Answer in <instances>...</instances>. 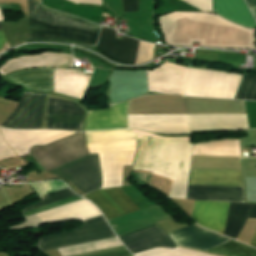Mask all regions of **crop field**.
<instances>
[{
  "label": "crop field",
  "instance_id": "d1516ede",
  "mask_svg": "<svg viewBox=\"0 0 256 256\" xmlns=\"http://www.w3.org/2000/svg\"><path fill=\"white\" fill-rule=\"evenodd\" d=\"M45 94L22 93L14 113L2 124L7 128L40 129Z\"/></svg>",
  "mask_w": 256,
  "mask_h": 256
},
{
  "label": "crop field",
  "instance_id": "5142ce71",
  "mask_svg": "<svg viewBox=\"0 0 256 256\" xmlns=\"http://www.w3.org/2000/svg\"><path fill=\"white\" fill-rule=\"evenodd\" d=\"M119 238L133 254L155 247H176L168 234L157 223L129 232Z\"/></svg>",
  "mask_w": 256,
  "mask_h": 256
},
{
  "label": "crop field",
  "instance_id": "8a807250",
  "mask_svg": "<svg viewBox=\"0 0 256 256\" xmlns=\"http://www.w3.org/2000/svg\"><path fill=\"white\" fill-rule=\"evenodd\" d=\"M87 142L138 138L134 169L174 179L169 198H186L193 145L186 137H164L132 129L84 132Z\"/></svg>",
  "mask_w": 256,
  "mask_h": 256
},
{
  "label": "crop field",
  "instance_id": "d9b57169",
  "mask_svg": "<svg viewBox=\"0 0 256 256\" xmlns=\"http://www.w3.org/2000/svg\"><path fill=\"white\" fill-rule=\"evenodd\" d=\"M85 198L101 209L107 220L138 210L120 188H110L89 193Z\"/></svg>",
  "mask_w": 256,
  "mask_h": 256
},
{
  "label": "crop field",
  "instance_id": "bd1437ed",
  "mask_svg": "<svg viewBox=\"0 0 256 256\" xmlns=\"http://www.w3.org/2000/svg\"><path fill=\"white\" fill-rule=\"evenodd\" d=\"M250 245L253 246V247H256V233H255Z\"/></svg>",
  "mask_w": 256,
  "mask_h": 256
},
{
  "label": "crop field",
  "instance_id": "00972430",
  "mask_svg": "<svg viewBox=\"0 0 256 256\" xmlns=\"http://www.w3.org/2000/svg\"><path fill=\"white\" fill-rule=\"evenodd\" d=\"M74 196H77V195L72 193L70 191V189L65 185V186L53 191L52 193L42 197L43 199L40 200L38 203H36L34 205H31L29 207L23 208V209H21V211L23 213V212L33 210V209H36V208H39V207H42V206H45V205H48V204H52V203H55V202H58V201H61V200L67 199V198H71V197H74ZM80 199H83V198L77 196V197L67 199V200L52 204V205H48V206H45V207H42V208H39V209H36V210H33V211L23 213L22 216L24 217V216H27V215H31V214H34V213H37V212H40V211H44V210L54 208V207H57V206H60V205H64V204H67V203H70V202H73V201H77V200H80Z\"/></svg>",
  "mask_w": 256,
  "mask_h": 256
},
{
  "label": "crop field",
  "instance_id": "ac0d7876",
  "mask_svg": "<svg viewBox=\"0 0 256 256\" xmlns=\"http://www.w3.org/2000/svg\"><path fill=\"white\" fill-rule=\"evenodd\" d=\"M169 45H200L226 48H255L254 31L228 22L215 14L174 12L159 19ZM256 32V31H255Z\"/></svg>",
  "mask_w": 256,
  "mask_h": 256
},
{
  "label": "crop field",
  "instance_id": "bc2a9ffb",
  "mask_svg": "<svg viewBox=\"0 0 256 256\" xmlns=\"http://www.w3.org/2000/svg\"><path fill=\"white\" fill-rule=\"evenodd\" d=\"M92 76L81 74L78 69H55V92L82 98Z\"/></svg>",
  "mask_w": 256,
  "mask_h": 256
},
{
  "label": "crop field",
  "instance_id": "e52e79f7",
  "mask_svg": "<svg viewBox=\"0 0 256 256\" xmlns=\"http://www.w3.org/2000/svg\"><path fill=\"white\" fill-rule=\"evenodd\" d=\"M169 236L176 245L200 251L232 241L195 224L169 233ZM205 252L225 256H256V249L235 241L205 250Z\"/></svg>",
  "mask_w": 256,
  "mask_h": 256
},
{
  "label": "crop field",
  "instance_id": "5a996713",
  "mask_svg": "<svg viewBox=\"0 0 256 256\" xmlns=\"http://www.w3.org/2000/svg\"><path fill=\"white\" fill-rule=\"evenodd\" d=\"M84 225L71 231L45 236L37 239L36 246L40 251L81 244L94 240L116 237L110 230L103 215L83 221Z\"/></svg>",
  "mask_w": 256,
  "mask_h": 256
},
{
  "label": "crop field",
  "instance_id": "28ad6ade",
  "mask_svg": "<svg viewBox=\"0 0 256 256\" xmlns=\"http://www.w3.org/2000/svg\"><path fill=\"white\" fill-rule=\"evenodd\" d=\"M188 68L169 62L147 71L149 91L183 95Z\"/></svg>",
  "mask_w": 256,
  "mask_h": 256
},
{
  "label": "crop field",
  "instance_id": "22f410ed",
  "mask_svg": "<svg viewBox=\"0 0 256 256\" xmlns=\"http://www.w3.org/2000/svg\"><path fill=\"white\" fill-rule=\"evenodd\" d=\"M84 110L77 104L49 96L47 128L82 131Z\"/></svg>",
  "mask_w": 256,
  "mask_h": 256
},
{
  "label": "crop field",
  "instance_id": "cbeb9de0",
  "mask_svg": "<svg viewBox=\"0 0 256 256\" xmlns=\"http://www.w3.org/2000/svg\"><path fill=\"white\" fill-rule=\"evenodd\" d=\"M1 129V128H0ZM7 143L18 156L28 154L33 145H45L75 132L54 130H6L1 129Z\"/></svg>",
  "mask_w": 256,
  "mask_h": 256
},
{
  "label": "crop field",
  "instance_id": "dd49c442",
  "mask_svg": "<svg viewBox=\"0 0 256 256\" xmlns=\"http://www.w3.org/2000/svg\"><path fill=\"white\" fill-rule=\"evenodd\" d=\"M189 185L243 187L241 172L191 170ZM189 186L187 198L244 202L243 188Z\"/></svg>",
  "mask_w": 256,
  "mask_h": 256
},
{
  "label": "crop field",
  "instance_id": "eef30255",
  "mask_svg": "<svg viewBox=\"0 0 256 256\" xmlns=\"http://www.w3.org/2000/svg\"><path fill=\"white\" fill-rule=\"evenodd\" d=\"M203 11H212L211 0H184Z\"/></svg>",
  "mask_w": 256,
  "mask_h": 256
},
{
  "label": "crop field",
  "instance_id": "f4fd0767",
  "mask_svg": "<svg viewBox=\"0 0 256 256\" xmlns=\"http://www.w3.org/2000/svg\"><path fill=\"white\" fill-rule=\"evenodd\" d=\"M228 203L195 201L191 217L222 234ZM256 217V204L229 203L223 234L236 239L247 218Z\"/></svg>",
  "mask_w": 256,
  "mask_h": 256
},
{
  "label": "crop field",
  "instance_id": "750c4746",
  "mask_svg": "<svg viewBox=\"0 0 256 256\" xmlns=\"http://www.w3.org/2000/svg\"><path fill=\"white\" fill-rule=\"evenodd\" d=\"M247 4L249 7H254L256 6V0H246Z\"/></svg>",
  "mask_w": 256,
  "mask_h": 256
},
{
  "label": "crop field",
  "instance_id": "4177f3b9",
  "mask_svg": "<svg viewBox=\"0 0 256 256\" xmlns=\"http://www.w3.org/2000/svg\"><path fill=\"white\" fill-rule=\"evenodd\" d=\"M154 47L155 45L140 41L136 64H142L152 60Z\"/></svg>",
  "mask_w": 256,
  "mask_h": 256
},
{
  "label": "crop field",
  "instance_id": "d3111659",
  "mask_svg": "<svg viewBox=\"0 0 256 256\" xmlns=\"http://www.w3.org/2000/svg\"><path fill=\"white\" fill-rule=\"evenodd\" d=\"M0 21H4L2 15H1V12H0ZM0 31H2V24H1V22H0ZM6 42H7V40H6L3 32H0V50L5 45Z\"/></svg>",
  "mask_w": 256,
  "mask_h": 256
},
{
  "label": "crop field",
  "instance_id": "dafd665d",
  "mask_svg": "<svg viewBox=\"0 0 256 256\" xmlns=\"http://www.w3.org/2000/svg\"><path fill=\"white\" fill-rule=\"evenodd\" d=\"M52 70H26L12 74L8 78L24 85L27 90L53 91Z\"/></svg>",
  "mask_w": 256,
  "mask_h": 256
},
{
  "label": "crop field",
  "instance_id": "3316defc",
  "mask_svg": "<svg viewBox=\"0 0 256 256\" xmlns=\"http://www.w3.org/2000/svg\"><path fill=\"white\" fill-rule=\"evenodd\" d=\"M50 173L70 180L84 193L97 190L101 185L97 154L68 163Z\"/></svg>",
  "mask_w": 256,
  "mask_h": 256
},
{
  "label": "crop field",
  "instance_id": "92a150f3",
  "mask_svg": "<svg viewBox=\"0 0 256 256\" xmlns=\"http://www.w3.org/2000/svg\"><path fill=\"white\" fill-rule=\"evenodd\" d=\"M215 12L245 27L254 28L256 23L243 0H214Z\"/></svg>",
  "mask_w": 256,
  "mask_h": 256
},
{
  "label": "crop field",
  "instance_id": "730fd06b",
  "mask_svg": "<svg viewBox=\"0 0 256 256\" xmlns=\"http://www.w3.org/2000/svg\"><path fill=\"white\" fill-rule=\"evenodd\" d=\"M16 156V153L6 144L0 133V160Z\"/></svg>",
  "mask_w": 256,
  "mask_h": 256
},
{
  "label": "crop field",
  "instance_id": "34b2d1b8",
  "mask_svg": "<svg viewBox=\"0 0 256 256\" xmlns=\"http://www.w3.org/2000/svg\"><path fill=\"white\" fill-rule=\"evenodd\" d=\"M28 42H64L74 40L95 45L101 29L79 17L45 8L35 0H29Z\"/></svg>",
  "mask_w": 256,
  "mask_h": 256
},
{
  "label": "crop field",
  "instance_id": "4a817a6b",
  "mask_svg": "<svg viewBox=\"0 0 256 256\" xmlns=\"http://www.w3.org/2000/svg\"><path fill=\"white\" fill-rule=\"evenodd\" d=\"M128 102L113 105L109 110L88 111L85 131L127 127Z\"/></svg>",
  "mask_w": 256,
  "mask_h": 256
},
{
  "label": "crop field",
  "instance_id": "a9b5d70f",
  "mask_svg": "<svg viewBox=\"0 0 256 256\" xmlns=\"http://www.w3.org/2000/svg\"><path fill=\"white\" fill-rule=\"evenodd\" d=\"M116 245H121V243L117 238H114V239L102 240V241H97V242L73 246V247L61 248L58 250L62 254V256H65V255H70V254H75V253H80V252H85L90 250L116 246Z\"/></svg>",
  "mask_w": 256,
  "mask_h": 256
},
{
  "label": "crop field",
  "instance_id": "412701ff",
  "mask_svg": "<svg viewBox=\"0 0 256 256\" xmlns=\"http://www.w3.org/2000/svg\"><path fill=\"white\" fill-rule=\"evenodd\" d=\"M236 76L189 68L184 95L228 98ZM229 98L256 101V77L238 75Z\"/></svg>",
  "mask_w": 256,
  "mask_h": 256
},
{
  "label": "crop field",
  "instance_id": "733c2abd",
  "mask_svg": "<svg viewBox=\"0 0 256 256\" xmlns=\"http://www.w3.org/2000/svg\"><path fill=\"white\" fill-rule=\"evenodd\" d=\"M116 31L103 27L100 33L98 46L103 48L107 54L117 60L135 64L138 40L123 36L122 40L115 39ZM117 35V34H116Z\"/></svg>",
  "mask_w": 256,
  "mask_h": 256
},
{
  "label": "crop field",
  "instance_id": "214f88e0",
  "mask_svg": "<svg viewBox=\"0 0 256 256\" xmlns=\"http://www.w3.org/2000/svg\"><path fill=\"white\" fill-rule=\"evenodd\" d=\"M37 215L43 221L59 220L66 218H81L83 220L101 215L99 210L88 201L81 200L51 210H47Z\"/></svg>",
  "mask_w": 256,
  "mask_h": 256
},
{
  "label": "crop field",
  "instance_id": "ae1a2a85",
  "mask_svg": "<svg viewBox=\"0 0 256 256\" xmlns=\"http://www.w3.org/2000/svg\"><path fill=\"white\" fill-rule=\"evenodd\" d=\"M138 2L139 0H123L124 11L125 12L138 11Z\"/></svg>",
  "mask_w": 256,
  "mask_h": 256
},
{
  "label": "crop field",
  "instance_id": "d8731c3e",
  "mask_svg": "<svg viewBox=\"0 0 256 256\" xmlns=\"http://www.w3.org/2000/svg\"><path fill=\"white\" fill-rule=\"evenodd\" d=\"M83 132L55 141L47 146H35L31 155L48 171L71 160L89 155Z\"/></svg>",
  "mask_w": 256,
  "mask_h": 256
}]
</instances>
